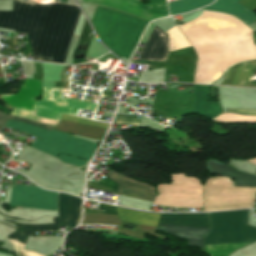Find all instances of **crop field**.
<instances>
[{
    "label": "crop field",
    "instance_id": "8a807250",
    "mask_svg": "<svg viewBox=\"0 0 256 256\" xmlns=\"http://www.w3.org/2000/svg\"><path fill=\"white\" fill-rule=\"evenodd\" d=\"M13 5L14 11H0V27L28 32L34 60L64 64L80 9L20 0H13Z\"/></svg>",
    "mask_w": 256,
    "mask_h": 256
},
{
    "label": "crop field",
    "instance_id": "ac0d7876",
    "mask_svg": "<svg viewBox=\"0 0 256 256\" xmlns=\"http://www.w3.org/2000/svg\"><path fill=\"white\" fill-rule=\"evenodd\" d=\"M6 127L27 132L44 139L43 141L38 140L32 147L52 156L58 157L59 155L60 157L58 158L62 161L78 166L86 164L87 161L67 155H57L56 153L59 151L60 153L90 160L97 148V144L72 137L70 134L54 130L47 132L41 128L33 127L18 121H8Z\"/></svg>",
    "mask_w": 256,
    "mask_h": 256
},
{
    "label": "crop field",
    "instance_id": "34b2d1b8",
    "mask_svg": "<svg viewBox=\"0 0 256 256\" xmlns=\"http://www.w3.org/2000/svg\"><path fill=\"white\" fill-rule=\"evenodd\" d=\"M43 100L36 101L33 111L14 108L12 114L56 126L62 114L76 115L78 108L94 111L95 104L60 97L62 89L43 88Z\"/></svg>",
    "mask_w": 256,
    "mask_h": 256
},
{
    "label": "crop field",
    "instance_id": "412701ff",
    "mask_svg": "<svg viewBox=\"0 0 256 256\" xmlns=\"http://www.w3.org/2000/svg\"><path fill=\"white\" fill-rule=\"evenodd\" d=\"M248 210L211 213L212 230L205 244L256 240V227L247 225Z\"/></svg>",
    "mask_w": 256,
    "mask_h": 256
},
{
    "label": "crop field",
    "instance_id": "f4fd0767",
    "mask_svg": "<svg viewBox=\"0 0 256 256\" xmlns=\"http://www.w3.org/2000/svg\"><path fill=\"white\" fill-rule=\"evenodd\" d=\"M58 193L38 187L13 186L10 205L58 210Z\"/></svg>",
    "mask_w": 256,
    "mask_h": 256
},
{
    "label": "crop field",
    "instance_id": "dd49c442",
    "mask_svg": "<svg viewBox=\"0 0 256 256\" xmlns=\"http://www.w3.org/2000/svg\"><path fill=\"white\" fill-rule=\"evenodd\" d=\"M168 55V35L155 26L143 48L138 63L158 64L165 62Z\"/></svg>",
    "mask_w": 256,
    "mask_h": 256
},
{
    "label": "crop field",
    "instance_id": "e52e79f7",
    "mask_svg": "<svg viewBox=\"0 0 256 256\" xmlns=\"http://www.w3.org/2000/svg\"><path fill=\"white\" fill-rule=\"evenodd\" d=\"M41 94V81L26 80L20 92L15 95L2 94V99L12 107L33 109L35 97Z\"/></svg>",
    "mask_w": 256,
    "mask_h": 256
},
{
    "label": "crop field",
    "instance_id": "d8731c3e",
    "mask_svg": "<svg viewBox=\"0 0 256 256\" xmlns=\"http://www.w3.org/2000/svg\"><path fill=\"white\" fill-rule=\"evenodd\" d=\"M82 200L78 197L60 193L59 197V223L67 225L71 230L77 225L81 213Z\"/></svg>",
    "mask_w": 256,
    "mask_h": 256
},
{
    "label": "crop field",
    "instance_id": "5a996713",
    "mask_svg": "<svg viewBox=\"0 0 256 256\" xmlns=\"http://www.w3.org/2000/svg\"><path fill=\"white\" fill-rule=\"evenodd\" d=\"M106 177L110 178L111 180L117 183L119 194L152 200V201H154L155 199V193H154L153 187L132 181L115 172H112Z\"/></svg>",
    "mask_w": 256,
    "mask_h": 256
},
{
    "label": "crop field",
    "instance_id": "3316defc",
    "mask_svg": "<svg viewBox=\"0 0 256 256\" xmlns=\"http://www.w3.org/2000/svg\"><path fill=\"white\" fill-rule=\"evenodd\" d=\"M210 173L225 175L234 180V186L256 187V176L238 172L231 167L213 159L206 162Z\"/></svg>",
    "mask_w": 256,
    "mask_h": 256
},
{
    "label": "crop field",
    "instance_id": "28ad6ade",
    "mask_svg": "<svg viewBox=\"0 0 256 256\" xmlns=\"http://www.w3.org/2000/svg\"><path fill=\"white\" fill-rule=\"evenodd\" d=\"M157 229L164 230L165 233H168L174 237L189 240L187 246L196 245L203 248V238L210 230L206 228L180 227L171 225H158Z\"/></svg>",
    "mask_w": 256,
    "mask_h": 256
},
{
    "label": "crop field",
    "instance_id": "d1516ede",
    "mask_svg": "<svg viewBox=\"0 0 256 256\" xmlns=\"http://www.w3.org/2000/svg\"><path fill=\"white\" fill-rule=\"evenodd\" d=\"M238 0H217L213 5L202 8L232 14L245 24L256 21V15L249 9L237 3Z\"/></svg>",
    "mask_w": 256,
    "mask_h": 256
},
{
    "label": "crop field",
    "instance_id": "22f410ed",
    "mask_svg": "<svg viewBox=\"0 0 256 256\" xmlns=\"http://www.w3.org/2000/svg\"><path fill=\"white\" fill-rule=\"evenodd\" d=\"M160 223L210 228L208 213L162 214Z\"/></svg>",
    "mask_w": 256,
    "mask_h": 256
},
{
    "label": "crop field",
    "instance_id": "cbeb9de0",
    "mask_svg": "<svg viewBox=\"0 0 256 256\" xmlns=\"http://www.w3.org/2000/svg\"><path fill=\"white\" fill-rule=\"evenodd\" d=\"M255 64L256 62H243L232 66L221 85L246 87Z\"/></svg>",
    "mask_w": 256,
    "mask_h": 256
},
{
    "label": "crop field",
    "instance_id": "5142ce71",
    "mask_svg": "<svg viewBox=\"0 0 256 256\" xmlns=\"http://www.w3.org/2000/svg\"><path fill=\"white\" fill-rule=\"evenodd\" d=\"M118 214L122 221L144 224L156 227L161 214L137 212L117 207Z\"/></svg>",
    "mask_w": 256,
    "mask_h": 256
},
{
    "label": "crop field",
    "instance_id": "d9b57169",
    "mask_svg": "<svg viewBox=\"0 0 256 256\" xmlns=\"http://www.w3.org/2000/svg\"><path fill=\"white\" fill-rule=\"evenodd\" d=\"M21 228L27 229L26 231H17L10 234L7 238L13 240L15 242L25 244L27 236L34 235V230H55L59 229L58 225V217H55V224L51 225H39V226H32V225H25V224H18Z\"/></svg>",
    "mask_w": 256,
    "mask_h": 256
},
{
    "label": "crop field",
    "instance_id": "733c2abd",
    "mask_svg": "<svg viewBox=\"0 0 256 256\" xmlns=\"http://www.w3.org/2000/svg\"><path fill=\"white\" fill-rule=\"evenodd\" d=\"M214 0H179L169 4L170 15L181 14L212 3Z\"/></svg>",
    "mask_w": 256,
    "mask_h": 256
},
{
    "label": "crop field",
    "instance_id": "4a817a6b",
    "mask_svg": "<svg viewBox=\"0 0 256 256\" xmlns=\"http://www.w3.org/2000/svg\"><path fill=\"white\" fill-rule=\"evenodd\" d=\"M213 120L224 123H256V116H242L226 113L213 118Z\"/></svg>",
    "mask_w": 256,
    "mask_h": 256
},
{
    "label": "crop field",
    "instance_id": "bc2a9ffb",
    "mask_svg": "<svg viewBox=\"0 0 256 256\" xmlns=\"http://www.w3.org/2000/svg\"><path fill=\"white\" fill-rule=\"evenodd\" d=\"M7 120H18V121H21V122H24V123H27L30 125L45 128L49 131H51L54 128V126H51V125H47L44 123H40V122L28 120V119L16 118L11 115H6V114H3L0 112V127H5Z\"/></svg>",
    "mask_w": 256,
    "mask_h": 256
},
{
    "label": "crop field",
    "instance_id": "214f88e0",
    "mask_svg": "<svg viewBox=\"0 0 256 256\" xmlns=\"http://www.w3.org/2000/svg\"><path fill=\"white\" fill-rule=\"evenodd\" d=\"M62 119L75 121V122H79V123H83V124H88V125H92V126H97V127H101V128H105V129H107L108 125H109L106 123H100V122H96V121H92V120H88V119H84V118H80V117L68 116V115H63Z\"/></svg>",
    "mask_w": 256,
    "mask_h": 256
},
{
    "label": "crop field",
    "instance_id": "92a150f3",
    "mask_svg": "<svg viewBox=\"0 0 256 256\" xmlns=\"http://www.w3.org/2000/svg\"><path fill=\"white\" fill-rule=\"evenodd\" d=\"M140 117L121 116L117 115L114 123H125V124H138Z\"/></svg>",
    "mask_w": 256,
    "mask_h": 256
},
{
    "label": "crop field",
    "instance_id": "dafd665d",
    "mask_svg": "<svg viewBox=\"0 0 256 256\" xmlns=\"http://www.w3.org/2000/svg\"><path fill=\"white\" fill-rule=\"evenodd\" d=\"M229 112H234V113L244 114V115H256V111H248V110L229 109Z\"/></svg>",
    "mask_w": 256,
    "mask_h": 256
},
{
    "label": "crop field",
    "instance_id": "00972430",
    "mask_svg": "<svg viewBox=\"0 0 256 256\" xmlns=\"http://www.w3.org/2000/svg\"><path fill=\"white\" fill-rule=\"evenodd\" d=\"M190 46L191 45L189 44V45L181 46V47H178V48L170 49L169 52L174 51V50H178V49H182V48H186V47H190Z\"/></svg>",
    "mask_w": 256,
    "mask_h": 256
},
{
    "label": "crop field",
    "instance_id": "a9b5d70f",
    "mask_svg": "<svg viewBox=\"0 0 256 256\" xmlns=\"http://www.w3.org/2000/svg\"><path fill=\"white\" fill-rule=\"evenodd\" d=\"M251 163L256 164V159L249 160Z\"/></svg>",
    "mask_w": 256,
    "mask_h": 256
}]
</instances>
